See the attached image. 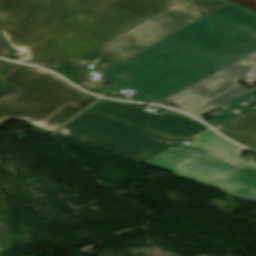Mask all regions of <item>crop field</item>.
<instances>
[{"label": "crop field", "mask_w": 256, "mask_h": 256, "mask_svg": "<svg viewBox=\"0 0 256 256\" xmlns=\"http://www.w3.org/2000/svg\"><path fill=\"white\" fill-rule=\"evenodd\" d=\"M182 0H0V32L21 61H72Z\"/></svg>", "instance_id": "1"}, {"label": "crop field", "mask_w": 256, "mask_h": 256, "mask_svg": "<svg viewBox=\"0 0 256 256\" xmlns=\"http://www.w3.org/2000/svg\"><path fill=\"white\" fill-rule=\"evenodd\" d=\"M254 50L256 15L230 2L103 74L156 103Z\"/></svg>", "instance_id": "2"}, {"label": "crop field", "mask_w": 256, "mask_h": 256, "mask_svg": "<svg viewBox=\"0 0 256 256\" xmlns=\"http://www.w3.org/2000/svg\"><path fill=\"white\" fill-rule=\"evenodd\" d=\"M206 129L172 111L156 115L142 105L101 100L56 132L143 162Z\"/></svg>", "instance_id": "3"}, {"label": "crop field", "mask_w": 256, "mask_h": 256, "mask_svg": "<svg viewBox=\"0 0 256 256\" xmlns=\"http://www.w3.org/2000/svg\"><path fill=\"white\" fill-rule=\"evenodd\" d=\"M9 65L0 80L19 89L0 99V127L19 119L47 135L95 100L53 74L26 65Z\"/></svg>", "instance_id": "4"}, {"label": "crop field", "mask_w": 256, "mask_h": 256, "mask_svg": "<svg viewBox=\"0 0 256 256\" xmlns=\"http://www.w3.org/2000/svg\"><path fill=\"white\" fill-rule=\"evenodd\" d=\"M227 0H184L120 36L90 50L78 59L50 68L76 85L91 81L92 72L86 66L93 64L96 72H104L117 63L150 47L187 24L205 16Z\"/></svg>", "instance_id": "5"}, {"label": "crop field", "mask_w": 256, "mask_h": 256, "mask_svg": "<svg viewBox=\"0 0 256 256\" xmlns=\"http://www.w3.org/2000/svg\"><path fill=\"white\" fill-rule=\"evenodd\" d=\"M247 72L256 73V51L157 104L174 107L187 112L219 93L239 84L236 81L247 75L245 74ZM254 82L256 83V81ZM254 89L256 87L248 90L240 84L189 113L200 117Z\"/></svg>", "instance_id": "6"}, {"label": "crop field", "mask_w": 256, "mask_h": 256, "mask_svg": "<svg viewBox=\"0 0 256 256\" xmlns=\"http://www.w3.org/2000/svg\"><path fill=\"white\" fill-rule=\"evenodd\" d=\"M171 172L256 202V175L241 172L204 155Z\"/></svg>", "instance_id": "7"}, {"label": "crop field", "mask_w": 256, "mask_h": 256, "mask_svg": "<svg viewBox=\"0 0 256 256\" xmlns=\"http://www.w3.org/2000/svg\"><path fill=\"white\" fill-rule=\"evenodd\" d=\"M226 137L256 149V112L220 130Z\"/></svg>", "instance_id": "8"}, {"label": "crop field", "mask_w": 256, "mask_h": 256, "mask_svg": "<svg viewBox=\"0 0 256 256\" xmlns=\"http://www.w3.org/2000/svg\"><path fill=\"white\" fill-rule=\"evenodd\" d=\"M181 146L185 144L181 143ZM202 154L188 150L183 147L172 148L163 154L157 156L156 158L147 161V164L158 167L160 169L170 171Z\"/></svg>", "instance_id": "9"}, {"label": "crop field", "mask_w": 256, "mask_h": 256, "mask_svg": "<svg viewBox=\"0 0 256 256\" xmlns=\"http://www.w3.org/2000/svg\"><path fill=\"white\" fill-rule=\"evenodd\" d=\"M250 99H255L256 100V90L221 107L229 112H232L212 123H210L212 126H214L215 128L219 129L253 111H255V109L247 106L246 104H244L245 102H247Z\"/></svg>", "instance_id": "10"}, {"label": "crop field", "mask_w": 256, "mask_h": 256, "mask_svg": "<svg viewBox=\"0 0 256 256\" xmlns=\"http://www.w3.org/2000/svg\"><path fill=\"white\" fill-rule=\"evenodd\" d=\"M245 149H241L232 143H226L204 155L209 156L219 162L231 165V166H238L245 160L237 158L242 153H244Z\"/></svg>", "instance_id": "11"}, {"label": "crop field", "mask_w": 256, "mask_h": 256, "mask_svg": "<svg viewBox=\"0 0 256 256\" xmlns=\"http://www.w3.org/2000/svg\"><path fill=\"white\" fill-rule=\"evenodd\" d=\"M226 142L227 141L221 139L216 134L208 130L195 137L193 142L185 147L204 154Z\"/></svg>", "instance_id": "12"}, {"label": "crop field", "mask_w": 256, "mask_h": 256, "mask_svg": "<svg viewBox=\"0 0 256 256\" xmlns=\"http://www.w3.org/2000/svg\"><path fill=\"white\" fill-rule=\"evenodd\" d=\"M120 83L118 82H113L107 86H104L96 81H93V82H90V83H87V84H84L82 86H80L81 88H84L90 92H93V93H96V92H100V91H103L105 89H108V88H111L113 86H116V85H119Z\"/></svg>", "instance_id": "13"}, {"label": "crop field", "mask_w": 256, "mask_h": 256, "mask_svg": "<svg viewBox=\"0 0 256 256\" xmlns=\"http://www.w3.org/2000/svg\"><path fill=\"white\" fill-rule=\"evenodd\" d=\"M18 88L0 81V98L17 90Z\"/></svg>", "instance_id": "14"}, {"label": "crop field", "mask_w": 256, "mask_h": 256, "mask_svg": "<svg viewBox=\"0 0 256 256\" xmlns=\"http://www.w3.org/2000/svg\"><path fill=\"white\" fill-rule=\"evenodd\" d=\"M248 163H251V165H248ZM241 165H242V167H237V169L242 170L244 172L256 174V164L255 163H252L250 161H245Z\"/></svg>", "instance_id": "15"}, {"label": "crop field", "mask_w": 256, "mask_h": 256, "mask_svg": "<svg viewBox=\"0 0 256 256\" xmlns=\"http://www.w3.org/2000/svg\"><path fill=\"white\" fill-rule=\"evenodd\" d=\"M0 57L10 58L9 50L0 37Z\"/></svg>", "instance_id": "16"}, {"label": "crop field", "mask_w": 256, "mask_h": 256, "mask_svg": "<svg viewBox=\"0 0 256 256\" xmlns=\"http://www.w3.org/2000/svg\"><path fill=\"white\" fill-rule=\"evenodd\" d=\"M6 64L4 61L0 60V71L3 70L6 67Z\"/></svg>", "instance_id": "17"}]
</instances>
